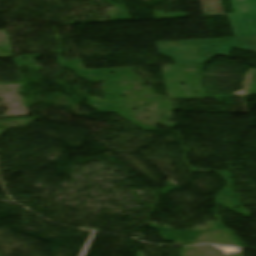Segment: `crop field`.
<instances>
[{
    "label": "crop field",
    "mask_w": 256,
    "mask_h": 256,
    "mask_svg": "<svg viewBox=\"0 0 256 256\" xmlns=\"http://www.w3.org/2000/svg\"><path fill=\"white\" fill-rule=\"evenodd\" d=\"M158 52L178 65L206 63L217 55L229 57L232 48L256 53V37L156 43ZM210 53L212 56L207 58Z\"/></svg>",
    "instance_id": "obj_1"
},
{
    "label": "crop field",
    "mask_w": 256,
    "mask_h": 256,
    "mask_svg": "<svg viewBox=\"0 0 256 256\" xmlns=\"http://www.w3.org/2000/svg\"><path fill=\"white\" fill-rule=\"evenodd\" d=\"M256 2V0H255ZM228 16L235 37L256 36V13ZM250 24V27H247Z\"/></svg>",
    "instance_id": "obj_2"
},
{
    "label": "crop field",
    "mask_w": 256,
    "mask_h": 256,
    "mask_svg": "<svg viewBox=\"0 0 256 256\" xmlns=\"http://www.w3.org/2000/svg\"><path fill=\"white\" fill-rule=\"evenodd\" d=\"M201 4L203 12L207 16L224 15L220 0H201Z\"/></svg>",
    "instance_id": "obj_3"
},
{
    "label": "crop field",
    "mask_w": 256,
    "mask_h": 256,
    "mask_svg": "<svg viewBox=\"0 0 256 256\" xmlns=\"http://www.w3.org/2000/svg\"><path fill=\"white\" fill-rule=\"evenodd\" d=\"M246 13L256 12V5L254 0H242ZM236 14H241V7L239 0H231Z\"/></svg>",
    "instance_id": "obj_4"
}]
</instances>
